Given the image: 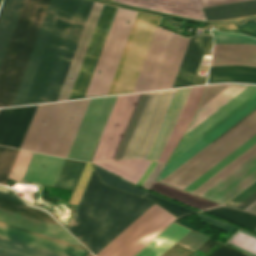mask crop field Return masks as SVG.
<instances>
[{"label":"crop field","instance_id":"obj_1","mask_svg":"<svg viewBox=\"0 0 256 256\" xmlns=\"http://www.w3.org/2000/svg\"><path fill=\"white\" fill-rule=\"evenodd\" d=\"M143 197L103 185L93 170L68 230L96 255L154 204Z\"/></svg>","mask_w":256,"mask_h":256},{"label":"crop field","instance_id":"obj_2","mask_svg":"<svg viewBox=\"0 0 256 256\" xmlns=\"http://www.w3.org/2000/svg\"><path fill=\"white\" fill-rule=\"evenodd\" d=\"M176 35L156 28L133 92L172 86L190 39ZM209 36L190 39L172 87L192 84Z\"/></svg>","mask_w":256,"mask_h":256},{"label":"crop field","instance_id":"obj_3","mask_svg":"<svg viewBox=\"0 0 256 256\" xmlns=\"http://www.w3.org/2000/svg\"><path fill=\"white\" fill-rule=\"evenodd\" d=\"M89 100L39 105L20 148L65 157Z\"/></svg>","mask_w":256,"mask_h":256},{"label":"crop field","instance_id":"obj_4","mask_svg":"<svg viewBox=\"0 0 256 256\" xmlns=\"http://www.w3.org/2000/svg\"><path fill=\"white\" fill-rule=\"evenodd\" d=\"M50 0H26L0 68V107L11 106Z\"/></svg>","mask_w":256,"mask_h":256},{"label":"crop field","instance_id":"obj_5","mask_svg":"<svg viewBox=\"0 0 256 256\" xmlns=\"http://www.w3.org/2000/svg\"><path fill=\"white\" fill-rule=\"evenodd\" d=\"M175 90L140 94L114 159L147 158Z\"/></svg>","mask_w":256,"mask_h":256},{"label":"crop field","instance_id":"obj_6","mask_svg":"<svg viewBox=\"0 0 256 256\" xmlns=\"http://www.w3.org/2000/svg\"><path fill=\"white\" fill-rule=\"evenodd\" d=\"M255 96L256 86H250L241 94H239L236 98H234L224 107H222L219 111H217L215 114H213L203 123H201L198 127L192 130L186 136H184L180 141L179 145L177 146V148L175 149V151L173 152L172 156L168 160V162L172 160L174 157H176L178 154H180L182 151H184L186 148H188L190 145H192L194 142H196L199 138H201L211 129H213L215 126H217L219 123H221L223 120H225L227 117H229L231 114H233L236 110H238L240 107H242ZM255 107L256 97L252 99L250 102H248L246 105H244L242 108H240L238 111H236L225 121H223L221 124H219L217 127H215L213 130H211L209 133H207L205 136H203L201 139H199L196 143H194L180 155H178L176 158H174L172 161H170L169 163L167 162L168 164L164 166L162 172L157 177V180L160 181L161 179H163L165 176H167L169 173L175 170L178 166H180L182 163L188 160L191 156H193L195 153H197L199 150L205 147L208 143H210L212 140L218 137L221 133H223L225 130H227L229 127L235 124L238 120H240L242 117L248 114Z\"/></svg>","mask_w":256,"mask_h":256},{"label":"crop field","instance_id":"obj_7","mask_svg":"<svg viewBox=\"0 0 256 256\" xmlns=\"http://www.w3.org/2000/svg\"><path fill=\"white\" fill-rule=\"evenodd\" d=\"M256 133V108L161 182L183 189Z\"/></svg>","mask_w":256,"mask_h":256},{"label":"crop field","instance_id":"obj_8","mask_svg":"<svg viewBox=\"0 0 256 256\" xmlns=\"http://www.w3.org/2000/svg\"><path fill=\"white\" fill-rule=\"evenodd\" d=\"M159 19L138 12L108 95L133 91Z\"/></svg>","mask_w":256,"mask_h":256},{"label":"crop field","instance_id":"obj_9","mask_svg":"<svg viewBox=\"0 0 256 256\" xmlns=\"http://www.w3.org/2000/svg\"><path fill=\"white\" fill-rule=\"evenodd\" d=\"M136 13L117 9L85 97L107 95Z\"/></svg>","mask_w":256,"mask_h":256},{"label":"crop field","instance_id":"obj_10","mask_svg":"<svg viewBox=\"0 0 256 256\" xmlns=\"http://www.w3.org/2000/svg\"><path fill=\"white\" fill-rule=\"evenodd\" d=\"M175 219L154 204L96 256H133Z\"/></svg>","mask_w":256,"mask_h":256},{"label":"crop field","instance_id":"obj_11","mask_svg":"<svg viewBox=\"0 0 256 256\" xmlns=\"http://www.w3.org/2000/svg\"><path fill=\"white\" fill-rule=\"evenodd\" d=\"M230 64L256 66V46L246 44H214L210 66ZM241 65L210 67L208 83H256V67Z\"/></svg>","mask_w":256,"mask_h":256},{"label":"crop field","instance_id":"obj_12","mask_svg":"<svg viewBox=\"0 0 256 256\" xmlns=\"http://www.w3.org/2000/svg\"><path fill=\"white\" fill-rule=\"evenodd\" d=\"M117 96L91 99L66 157L89 162Z\"/></svg>","mask_w":256,"mask_h":256},{"label":"crop field","instance_id":"obj_13","mask_svg":"<svg viewBox=\"0 0 256 256\" xmlns=\"http://www.w3.org/2000/svg\"><path fill=\"white\" fill-rule=\"evenodd\" d=\"M78 0H63L25 104L40 102Z\"/></svg>","mask_w":256,"mask_h":256},{"label":"crop field","instance_id":"obj_14","mask_svg":"<svg viewBox=\"0 0 256 256\" xmlns=\"http://www.w3.org/2000/svg\"><path fill=\"white\" fill-rule=\"evenodd\" d=\"M92 3L93 2L91 1L79 0L73 18L71 20L67 35L65 37L62 49L60 51L58 60L56 62L55 68L53 70L41 102L53 101L57 99L69 65L71 63L73 54L75 52L81 32L88 18Z\"/></svg>","mask_w":256,"mask_h":256},{"label":"crop field","instance_id":"obj_15","mask_svg":"<svg viewBox=\"0 0 256 256\" xmlns=\"http://www.w3.org/2000/svg\"><path fill=\"white\" fill-rule=\"evenodd\" d=\"M139 97L140 94L117 97L92 162L113 158Z\"/></svg>","mask_w":256,"mask_h":256},{"label":"crop field","instance_id":"obj_16","mask_svg":"<svg viewBox=\"0 0 256 256\" xmlns=\"http://www.w3.org/2000/svg\"><path fill=\"white\" fill-rule=\"evenodd\" d=\"M116 9L103 6L69 99L84 96Z\"/></svg>","mask_w":256,"mask_h":256},{"label":"crop field","instance_id":"obj_17","mask_svg":"<svg viewBox=\"0 0 256 256\" xmlns=\"http://www.w3.org/2000/svg\"><path fill=\"white\" fill-rule=\"evenodd\" d=\"M0 237L40 248L62 256H86L90 253L83 247L43 236L1 222Z\"/></svg>","mask_w":256,"mask_h":256},{"label":"crop field","instance_id":"obj_18","mask_svg":"<svg viewBox=\"0 0 256 256\" xmlns=\"http://www.w3.org/2000/svg\"><path fill=\"white\" fill-rule=\"evenodd\" d=\"M62 0H51L12 106L25 103Z\"/></svg>","mask_w":256,"mask_h":256},{"label":"crop field","instance_id":"obj_19","mask_svg":"<svg viewBox=\"0 0 256 256\" xmlns=\"http://www.w3.org/2000/svg\"><path fill=\"white\" fill-rule=\"evenodd\" d=\"M256 179V154L201 197L223 204Z\"/></svg>","mask_w":256,"mask_h":256},{"label":"crop field","instance_id":"obj_20","mask_svg":"<svg viewBox=\"0 0 256 256\" xmlns=\"http://www.w3.org/2000/svg\"><path fill=\"white\" fill-rule=\"evenodd\" d=\"M37 106L0 110V145L20 147Z\"/></svg>","mask_w":256,"mask_h":256},{"label":"crop field","instance_id":"obj_21","mask_svg":"<svg viewBox=\"0 0 256 256\" xmlns=\"http://www.w3.org/2000/svg\"><path fill=\"white\" fill-rule=\"evenodd\" d=\"M117 3L187 17L206 20L197 0H114Z\"/></svg>","mask_w":256,"mask_h":256},{"label":"crop field","instance_id":"obj_22","mask_svg":"<svg viewBox=\"0 0 256 256\" xmlns=\"http://www.w3.org/2000/svg\"><path fill=\"white\" fill-rule=\"evenodd\" d=\"M0 221L82 246L63 227L0 208Z\"/></svg>","mask_w":256,"mask_h":256},{"label":"crop field","instance_id":"obj_23","mask_svg":"<svg viewBox=\"0 0 256 256\" xmlns=\"http://www.w3.org/2000/svg\"><path fill=\"white\" fill-rule=\"evenodd\" d=\"M102 6H103L102 4H98L95 2L93 3L90 16L86 23L85 29L83 31L79 45L75 52V55L72 60L71 66L69 68L64 85L62 87V90L57 100H63V99L69 98L79 67L81 65L82 59L84 57L85 51L87 49L88 43L90 41L91 35L93 33V30L96 25ZM71 80H74V81H71Z\"/></svg>","mask_w":256,"mask_h":256},{"label":"crop field","instance_id":"obj_24","mask_svg":"<svg viewBox=\"0 0 256 256\" xmlns=\"http://www.w3.org/2000/svg\"><path fill=\"white\" fill-rule=\"evenodd\" d=\"M86 163L66 159L54 186L74 189ZM93 168L87 163L69 203L77 205Z\"/></svg>","mask_w":256,"mask_h":256},{"label":"crop field","instance_id":"obj_25","mask_svg":"<svg viewBox=\"0 0 256 256\" xmlns=\"http://www.w3.org/2000/svg\"><path fill=\"white\" fill-rule=\"evenodd\" d=\"M191 88L177 89L167 111L165 119L148 156V160L157 161L184 106Z\"/></svg>","mask_w":256,"mask_h":256},{"label":"crop field","instance_id":"obj_26","mask_svg":"<svg viewBox=\"0 0 256 256\" xmlns=\"http://www.w3.org/2000/svg\"><path fill=\"white\" fill-rule=\"evenodd\" d=\"M64 160L63 158L34 153L23 181H32L53 186Z\"/></svg>","mask_w":256,"mask_h":256},{"label":"crop field","instance_id":"obj_27","mask_svg":"<svg viewBox=\"0 0 256 256\" xmlns=\"http://www.w3.org/2000/svg\"><path fill=\"white\" fill-rule=\"evenodd\" d=\"M203 87H195L192 88L190 91V94L187 98V101L185 103V106L181 112V115L177 121V124L159 158L158 161L165 163L168 156L170 155L171 151L173 150V148L175 147L176 143L178 142V140L180 139V137L182 136L184 130L186 129L197 105L199 102V99L201 97L202 91H203ZM191 122V121H190ZM190 124V123H189ZM178 144V143H177ZM173 152V151H172ZM170 157V156H169Z\"/></svg>","mask_w":256,"mask_h":256},{"label":"crop field","instance_id":"obj_28","mask_svg":"<svg viewBox=\"0 0 256 256\" xmlns=\"http://www.w3.org/2000/svg\"><path fill=\"white\" fill-rule=\"evenodd\" d=\"M247 85L242 84H231L222 92H220L217 96L211 99L208 103L202 106L200 109L197 110L189 129L187 130L186 134L198 126L201 122L219 110L222 106L236 97L239 93L245 90ZM185 134V135H186Z\"/></svg>","mask_w":256,"mask_h":256},{"label":"crop field","instance_id":"obj_29","mask_svg":"<svg viewBox=\"0 0 256 256\" xmlns=\"http://www.w3.org/2000/svg\"><path fill=\"white\" fill-rule=\"evenodd\" d=\"M96 165L136 184L141 177L145 169L150 164V161H146L139 158L97 162Z\"/></svg>","mask_w":256,"mask_h":256},{"label":"crop field","instance_id":"obj_30","mask_svg":"<svg viewBox=\"0 0 256 256\" xmlns=\"http://www.w3.org/2000/svg\"><path fill=\"white\" fill-rule=\"evenodd\" d=\"M188 232L189 230L173 223L136 256H161Z\"/></svg>","mask_w":256,"mask_h":256},{"label":"crop field","instance_id":"obj_31","mask_svg":"<svg viewBox=\"0 0 256 256\" xmlns=\"http://www.w3.org/2000/svg\"><path fill=\"white\" fill-rule=\"evenodd\" d=\"M25 0H4L0 13L12 15L10 21L0 20V65Z\"/></svg>","mask_w":256,"mask_h":256},{"label":"crop field","instance_id":"obj_32","mask_svg":"<svg viewBox=\"0 0 256 256\" xmlns=\"http://www.w3.org/2000/svg\"><path fill=\"white\" fill-rule=\"evenodd\" d=\"M202 11L207 20H223L256 14V0L204 8Z\"/></svg>","mask_w":256,"mask_h":256},{"label":"crop field","instance_id":"obj_33","mask_svg":"<svg viewBox=\"0 0 256 256\" xmlns=\"http://www.w3.org/2000/svg\"><path fill=\"white\" fill-rule=\"evenodd\" d=\"M149 189L162 195H165L167 197H170L172 199H175L177 201L193 206L195 208H198L200 210L220 206L156 181H154V183L149 187Z\"/></svg>","mask_w":256,"mask_h":256},{"label":"crop field","instance_id":"obj_34","mask_svg":"<svg viewBox=\"0 0 256 256\" xmlns=\"http://www.w3.org/2000/svg\"><path fill=\"white\" fill-rule=\"evenodd\" d=\"M0 207L60 225L47 212L41 211V210H38L35 208H31L27 204H25L22 200H20L17 196L10 195V194L4 193V192H0Z\"/></svg>","mask_w":256,"mask_h":256},{"label":"crop field","instance_id":"obj_35","mask_svg":"<svg viewBox=\"0 0 256 256\" xmlns=\"http://www.w3.org/2000/svg\"><path fill=\"white\" fill-rule=\"evenodd\" d=\"M255 143H256V134L252 136L250 139H248L241 146H239L237 149H235L233 152H231L228 156H226L220 162H218L215 166H213L207 172H205L203 175H201L198 179H196L194 182H192L190 185L184 188V190L192 192L201 184H203L205 181H207L209 178H211L213 175H215L217 172H219L222 168H224L226 165H228L230 162H232L234 159H236L238 156H240L250 147H252Z\"/></svg>","mask_w":256,"mask_h":256},{"label":"crop field","instance_id":"obj_36","mask_svg":"<svg viewBox=\"0 0 256 256\" xmlns=\"http://www.w3.org/2000/svg\"><path fill=\"white\" fill-rule=\"evenodd\" d=\"M231 222L244 226L253 230L256 227V215L245 213L242 211L230 209V208H219L211 211H207Z\"/></svg>","mask_w":256,"mask_h":256},{"label":"crop field","instance_id":"obj_37","mask_svg":"<svg viewBox=\"0 0 256 256\" xmlns=\"http://www.w3.org/2000/svg\"><path fill=\"white\" fill-rule=\"evenodd\" d=\"M0 246L11 250H15L31 256H59L53 253H49L43 250H39L30 246H26L17 242H13L7 239L0 238ZM0 247V256H28L15 251H11Z\"/></svg>","mask_w":256,"mask_h":256},{"label":"crop field","instance_id":"obj_38","mask_svg":"<svg viewBox=\"0 0 256 256\" xmlns=\"http://www.w3.org/2000/svg\"><path fill=\"white\" fill-rule=\"evenodd\" d=\"M255 153L256 144L248 151H246L244 154H242L240 157H238L236 160H234L232 163H230L228 166H226L219 173H217L215 176H213L211 179H209L207 182H205L203 185H201L199 188H197L195 191H193V193L200 196Z\"/></svg>","mask_w":256,"mask_h":256},{"label":"crop field","instance_id":"obj_39","mask_svg":"<svg viewBox=\"0 0 256 256\" xmlns=\"http://www.w3.org/2000/svg\"><path fill=\"white\" fill-rule=\"evenodd\" d=\"M94 169L95 171L97 172V174L99 175V177L101 178L102 181H104V183L108 184V185H111V186H114L116 188H119V189H122V190H125V191H128V192H131L133 194H136V195H139V196H142L145 191L137 188L136 186L94 166Z\"/></svg>","mask_w":256,"mask_h":256},{"label":"crop field","instance_id":"obj_40","mask_svg":"<svg viewBox=\"0 0 256 256\" xmlns=\"http://www.w3.org/2000/svg\"><path fill=\"white\" fill-rule=\"evenodd\" d=\"M18 151L0 146V184H5Z\"/></svg>","mask_w":256,"mask_h":256},{"label":"crop field","instance_id":"obj_41","mask_svg":"<svg viewBox=\"0 0 256 256\" xmlns=\"http://www.w3.org/2000/svg\"><path fill=\"white\" fill-rule=\"evenodd\" d=\"M144 196H146L150 200L154 201L155 203H157L158 205H160L161 207H163L164 209L171 212L172 214H174L177 217L196 212L194 210L183 207L181 205H178L176 203H173V202L163 199L161 197L155 196L148 192H146Z\"/></svg>","mask_w":256,"mask_h":256},{"label":"crop field","instance_id":"obj_42","mask_svg":"<svg viewBox=\"0 0 256 256\" xmlns=\"http://www.w3.org/2000/svg\"><path fill=\"white\" fill-rule=\"evenodd\" d=\"M32 154L31 152L20 150L8 178L22 180Z\"/></svg>","mask_w":256,"mask_h":256},{"label":"crop field","instance_id":"obj_43","mask_svg":"<svg viewBox=\"0 0 256 256\" xmlns=\"http://www.w3.org/2000/svg\"><path fill=\"white\" fill-rule=\"evenodd\" d=\"M239 232H241V230H239L238 232H236L232 237H231V239L227 242L228 244H230V245H232V246H235V245H238V246H240V247H242V248H245V249H247V250H249V251H252V252H254V253H256V238L255 237H253V236H250V235H248V234H245V233H243V232H241L240 234H238ZM238 234V235H237ZM237 235V236H236ZM236 236V237H235ZM235 237V238H234ZM234 238V239H233ZM233 239V240H232ZM232 240V241H231ZM231 241V243H233V244H235V245H233V244H231V243H229ZM238 246H235V247H237V248H239V249H242V248H240V247H238ZM245 249H242V250H244V251H246V252H248V253H251V254H253V255H255L256 256V254H254V253H252V252H249V251H247V250H245Z\"/></svg>","mask_w":256,"mask_h":256},{"label":"crop field","instance_id":"obj_44","mask_svg":"<svg viewBox=\"0 0 256 256\" xmlns=\"http://www.w3.org/2000/svg\"><path fill=\"white\" fill-rule=\"evenodd\" d=\"M214 43H247L256 44V40L240 34H230L221 32H212Z\"/></svg>","mask_w":256,"mask_h":256},{"label":"crop field","instance_id":"obj_45","mask_svg":"<svg viewBox=\"0 0 256 256\" xmlns=\"http://www.w3.org/2000/svg\"><path fill=\"white\" fill-rule=\"evenodd\" d=\"M207 240H208V238L190 231L177 244L194 252Z\"/></svg>","mask_w":256,"mask_h":256},{"label":"crop field","instance_id":"obj_46","mask_svg":"<svg viewBox=\"0 0 256 256\" xmlns=\"http://www.w3.org/2000/svg\"><path fill=\"white\" fill-rule=\"evenodd\" d=\"M228 85L229 84L207 86L206 91L204 93V97L202 98L201 103L199 105V108Z\"/></svg>","mask_w":256,"mask_h":256},{"label":"crop field","instance_id":"obj_47","mask_svg":"<svg viewBox=\"0 0 256 256\" xmlns=\"http://www.w3.org/2000/svg\"><path fill=\"white\" fill-rule=\"evenodd\" d=\"M254 191H256V181L225 205L234 207L246 197H248L250 194H252Z\"/></svg>","mask_w":256,"mask_h":256},{"label":"crop field","instance_id":"obj_48","mask_svg":"<svg viewBox=\"0 0 256 256\" xmlns=\"http://www.w3.org/2000/svg\"><path fill=\"white\" fill-rule=\"evenodd\" d=\"M240 1H246V0H198L201 8L240 2Z\"/></svg>","mask_w":256,"mask_h":256},{"label":"crop field","instance_id":"obj_49","mask_svg":"<svg viewBox=\"0 0 256 256\" xmlns=\"http://www.w3.org/2000/svg\"><path fill=\"white\" fill-rule=\"evenodd\" d=\"M210 256H245L241 253H238L224 245H222L219 249L213 252Z\"/></svg>","mask_w":256,"mask_h":256},{"label":"crop field","instance_id":"obj_50","mask_svg":"<svg viewBox=\"0 0 256 256\" xmlns=\"http://www.w3.org/2000/svg\"><path fill=\"white\" fill-rule=\"evenodd\" d=\"M163 165L164 164L157 163V165L155 166V168L150 173V175L148 176V178L146 179V181L143 183L141 187L147 189L152 184L153 180L157 177V175L160 173Z\"/></svg>","mask_w":256,"mask_h":256},{"label":"crop field","instance_id":"obj_51","mask_svg":"<svg viewBox=\"0 0 256 256\" xmlns=\"http://www.w3.org/2000/svg\"><path fill=\"white\" fill-rule=\"evenodd\" d=\"M255 200H256V192H254L252 195H250L248 198H246L244 201L238 204L235 208L243 210Z\"/></svg>","mask_w":256,"mask_h":256},{"label":"crop field","instance_id":"obj_52","mask_svg":"<svg viewBox=\"0 0 256 256\" xmlns=\"http://www.w3.org/2000/svg\"><path fill=\"white\" fill-rule=\"evenodd\" d=\"M156 165V163L151 162V164L149 165V167L146 169V171L144 172V174L142 175V177L139 179V181L137 182V185L141 186V184L144 182V180L146 179V177L148 176V174L151 172V170L153 169V167Z\"/></svg>","mask_w":256,"mask_h":256},{"label":"crop field","instance_id":"obj_53","mask_svg":"<svg viewBox=\"0 0 256 256\" xmlns=\"http://www.w3.org/2000/svg\"><path fill=\"white\" fill-rule=\"evenodd\" d=\"M216 244V242L212 241V240H208L205 244H203L199 250L203 251V252H207L210 248H212L214 245Z\"/></svg>","mask_w":256,"mask_h":256},{"label":"crop field","instance_id":"obj_54","mask_svg":"<svg viewBox=\"0 0 256 256\" xmlns=\"http://www.w3.org/2000/svg\"><path fill=\"white\" fill-rule=\"evenodd\" d=\"M245 211L256 213V201L252 203L250 206H248Z\"/></svg>","mask_w":256,"mask_h":256},{"label":"crop field","instance_id":"obj_55","mask_svg":"<svg viewBox=\"0 0 256 256\" xmlns=\"http://www.w3.org/2000/svg\"><path fill=\"white\" fill-rule=\"evenodd\" d=\"M0 191H4L8 193L9 190L6 187L0 186Z\"/></svg>","mask_w":256,"mask_h":256},{"label":"crop field","instance_id":"obj_56","mask_svg":"<svg viewBox=\"0 0 256 256\" xmlns=\"http://www.w3.org/2000/svg\"><path fill=\"white\" fill-rule=\"evenodd\" d=\"M88 256H93L91 253Z\"/></svg>","mask_w":256,"mask_h":256},{"label":"crop field","instance_id":"obj_57","mask_svg":"<svg viewBox=\"0 0 256 256\" xmlns=\"http://www.w3.org/2000/svg\"><path fill=\"white\" fill-rule=\"evenodd\" d=\"M254 231H256V229Z\"/></svg>","mask_w":256,"mask_h":256}]
</instances>
